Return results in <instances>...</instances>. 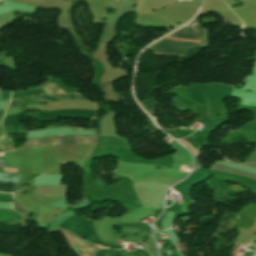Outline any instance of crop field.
<instances>
[{
  "mask_svg": "<svg viewBox=\"0 0 256 256\" xmlns=\"http://www.w3.org/2000/svg\"><path fill=\"white\" fill-rule=\"evenodd\" d=\"M22 174L0 173V182L18 183Z\"/></svg>",
  "mask_w": 256,
  "mask_h": 256,
  "instance_id": "obj_6",
  "label": "crop field"
},
{
  "mask_svg": "<svg viewBox=\"0 0 256 256\" xmlns=\"http://www.w3.org/2000/svg\"><path fill=\"white\" fill-rule=\"evenodd\" d=\"M1 200H12V194H2V193H0V201Z\"/></svg>",
  "mask_w": 256,
  "mask_h": 256,
  "instance_id": "obj_11",
  "label": "crop field"
},
{
  "mask_svg": "<svg viewBox=\"0 0 256 256\" xmlns=\"http://www.w3.org/2000/svg\"><path fill=\"white\" fill-rule=\"evenodd\" d=\"M172 227V226H171Z\"/></svg>",
  "mask_w": 256,
  "mask_h": 256,
  "instance_id": "obj_16",
  "label": "crop field"
},
{
  "mask_svg": "<svg viewBox=\"0 0 256 256\" xmlns=\"http://www.w3.org/2000/svg\"><path fill=\"white\" fill-rule=\"evenodd\" d=\"M5 172H18V170L4 169Z\"/></svg>",
  "mask_w": 256,
  "mask_h": 256,
  "instance_id": "obj_14",
  "label": "crop field"
},
{
  "mask_svg": "<svg viewBox=\"0 0 256 256\" xmlns=\"http://www.w3.org/2000/svg\"><path fill=\"white\" fill-rule=\"evenodd\" d=\"M186 28H192L194 31L193 34H187L185 32ZM171 36L202 39L203 32L199 28L196 20L194 19L186 27L176 31L175 33L171 34ZM176 37H169V38H176ZM178 39H186V38H178ZM178 39H167L157 44L152 49L155 51L156 54L184 55L185 51L195 47L200 43L196 41H201L197 39H187V40H196V41H187V40H178Z\"/></svg>",
  "mask_w": 256,
  "mask_h": 256,
  "instance_id": "obj_1",
  "label": "crop field"
},
{
  "mask_svg": "<svg viewBox=\"0 0 256 256\" xmlns=\"http://www.w3.org/2000/svg\"><path fill=\"white\" fill-rule=\"evenodd\" d=\"M19 213L22 215V217H23L24 219L27 218L28 213H24V212H19Z\"/></svg>",
  "mask_w": 256,
  "mask_h": 256,
  "instance_id": "obj_13",
  "label": "crop field"
},
{
  "mask_svg": "<svg viewBox=\"0 0 256 256\" xmlns=\"http://www.w3.org/2000/svg\"><path fill=\"white\" fill-rule=\"evenodd\" d=\"M180 141H183L187 146H189L191 152H192L194 155L197 154L196 149H195L190 143L186 142V141L183 140V139H180ZM195 158H196V165H195V168H194V169H197V168L199 167V164H198V155H196Z\"/></svg>",
  "mask_w": 256,
  "mask_h": 256,
  "instance_id": "obj_9",
  "label": "crop field"
},
{
  "mask_svg": "<svg viewBox=\"0 0 256 256\" xmlns=\"http://www.w3.org/2000/svg\"><path fill=\"white\" fill-rule=\"evenodd\" d=\"M58 229L64 234L67 242L69 243V246L72 248L74 246H76L78 249L82 250V253H79V256H93V253L96 250H99L97 247H99L100 249L103 248L101 246H94L92 243H90L89 241L83 240L79 237H76L75 235H73L71 232L69 231H65L61 228L58 227Z\"/></svg>",
  "mask_w": 256,
  "mask_h": 256,
  "instance_id": "obj_3",
  "label": "crop field"
},
{
  "mask_svg": "<svg viewBox=\"0 0 256 256\" xmlns=\"http://www.w3.org/2000/svg\"><path fill=\"white\" fill-rule=\"evenodd\" d=\"M18 222L22 223V227H26L25 221L20 214L11 210H0V223L16 224Z\"/></svg>",
  "mask_w": 256,
  "mask_h": 256,
  "instance_id": "obj_4",
  "label": "crop field"
},
{
  "mask_svg": "<svg viewBox=\"0 0 256 256\" xmlns=\"http://www.w3.org/2000/svg\"><path fill=\"white\" fill-rule=\"evenodd\" d=\"M37 101H66V100H85L81 98L80 95L77 94H63V95H48V96H39L35 97Z\"/></svg>",
  "mask_w": 256,
  "mask_h": 256,
  "instance_id": "obj_5",
  "label": "crop field"
},
{
  "mask_svg": "<svg viewBox=\"0 0 256 256\" xmlns=\"http://www.w3.org/2000/svg\"><path fill=\"white\" fill-rule=\"evenodd\" d=\"M20 100H13V101H11L9 106H8V108L19 106Z\"/></svg>",
  "mask_w": 256,
  "mask_h": 256,
  "instance_id": "obj_12",
  "label": "crop field"
},
{
  "mask_svg": "<svg viewBox=\"0 0 256 256\" xmlns=\"http://www.w3.org/2000/svg\"><path fill=\"white\" fill-rule=\"evenodd\" d=\"M47 94L52 93H65L62 89H60L55 83L47 85L43 88Z\"/></svg>",
  "mask_w": 256,
  "mask_h": 256,
  "instance_id": "obj_8",
  "label": "crop field"
},
{
  "mask_svg": "<svg viewBox=\"0 0 256 256\" xmlns=\"http://www.w3.org/2000/svg\"><path fill=\"white\" fill-rule=\"evenodd\" d=\"M13 208H14L15 210L24 211V212H27V210H28L27 207H25L24 205H22V204H20V203H16V202H14Z\"/></svg>",
  "mask_w": 256,
  "mask_h": 256,
  "instance_id": "obj_10",
  "label": "crop field"
},
{
  "mask_svg": "<svg viewBox=\"0 0 256 256\" xmlns=\"http://www.w3.org/2000/svg\"><path fill=\"white\" fill-rule=\"evenodd\" d=\"M23 186L21 184L0 183V192H14L20 190Z\"/></svg>",
  "mask_w": 256,
  "mask_h": 256,
  "instance_id": "obj_7",
  "label": "crop field"
},
{
  "mask_svg": "<svg viewBox=\"0 0 256 256\" xmlns=\"http://www.w3.org/2000/svg\"><path fill=\"white\" fill-rule=\"evenodd\" d=\"M1 148H2V145H1Z\"/></svg>",
  "mask_w": 256,
  "mask_h": 256,
  "instance_id": "obj_15",
  "label": "crop field"
},
{
  "mask_svg": "<svg viewBox=\"0 0 256 256\" xmlns=\"http://www.w3.org/2000/svg\"><path fill=\"white\" fill-rule=\"evenodd\" d=\"M97 137H88V136H70V137H54V138H45L27 141L20 149L32 148V147H44V146H54V145H67V144H78V143H87V144H97ZM4 153L12 152L15 150V143L10 145L3 146Z\"/></svg>",
  "mask_w": 256,
  "mask_h": 256,
  "instance_id": "obj_2",
  "label": "crop field"
}]
</instances>
